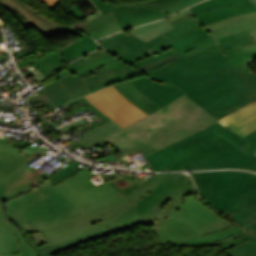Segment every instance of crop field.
<instances>
[{
	"mask_svg": "<svg viewBox=\"0 0 256 256\" xmlns=\"http://www.w3.org/2000/svg\"><path fill=\"white\" fill-rule=\"evenodd\" d=\"M114 87L124 98H126L128 101L133 103L135 106H137L139 109H141L148 115L160 109V107H158L156 104L150 101L142 93H140L131 84L130 81L119 84V85H115Z\"/></svg>",
	"mask_w": 256,
	"mask_h": 256,
	"instance_id": "23",
	"label": "crop field"
},
{
	"mask_svg": "<svg viewBox=\"0 0 256 256\" xmlns=\"http://www.w3.org/2000/svg\"><path fill=\"white\" fill-rule=\"evenodd\" d=\"M231 217L234 221L256 231V206L237 212Z\"/></svg>",
	"mask_w": 256,
	"mask_h": 256,
	"instance_id": "30",
	"label": "crop field"
},
{
	"mask_svg": "<svg viewBox=\"0 0 256 256\" xmlns=\"http://www.w3.org/2000/svg\"><path fill=\"white\" fill-rule=\"evenodd\" d=\"M5 58L3 54H0V60Z\"/></svg>",
	"mask_w": 256,
	"mask_h": 256,
	"instance_id": "42",
	"label": "crop field"
},
{
	"mask_svg": "<svg viewBox=\"0 0 256 256\" xmlns=\"http://www.w3.org/2000/svg\"><path fill=\"white\" fill-rule=\"evenodd\" d=\"M247 143L249 141L216 122L144 158L154 171L221 168L256 171V156L239 149Z\"/></svg>",
	"mask_w": 256,
	"mask_h": 256,
	"instance_id": "4",
	"label": "crop field"
},
{
	"mask_svg": "<svg viewBox=\"0 0 256 256\" xmlns=\"http://www.w3.org/2000/svg\"><path fill=\"white\" fill-rule=\"evenodd\" d=\"M118 60L116 57L105 51L103 48L97 52L89 54L69 65L65 68L69 74L59 78L74 99L90 93L83 82V76L96 74V69Z\"/></svg>",
	"mask_w": 256,
	"mask_h": 256,
	"instance_id": "11",
	"label": "crop field"
},
{
	"mask_svg": "<svg viewBox=\"0 0 256 256\" xmlns=\"http://www.w3.org/2000/svg\"><path fill=\"white\" fill-rule=\"evenodd\" d=\"M0 4H2L10 11L15 9L20 15L23 16L25 21L32 25L39 33H41L46 38L57 34L65 33L48 24L39 16L30 12L16 0H0Z\"/></svg>",
	"mask_w": 256,
	"mask_h": 256,
	"instance_id": "18",
	"label": "crop field"
},
{
	"mask_svg": "<svg viewBox=\"0 0 256 256\" xmlns=\"http://www.w3.org/2000/svg\"><path fill=\"white\" fill-rule=\"evenodd\" d=\"M62 61H65L66 63L70 62L55 51L32 64L37 66L38 69H40L44 74L48 76L49 74L63 66Z\"/></svg>",
	"mask_w": 256,
	"mask_h": 256,
	"instance_id": "28",
	"label": "crop field"
},
{
	"mask_svg": "<svg viewBox=\"0 0 256 256\" xmlns=\"http://www.w3.org/2000/svg\"><path fill=\"white\" fill-rule=\"evenodd\" d=\"M189 14H191V12L187 9V10H184V11L178 13L177 15H175L173 17L168 18V20H169L170 23H172V22H174L178 19H181V18L189 15Z\"/></svg>",
	"mask_w": 256,
	"mask_h": 256,
	"instance_id": "37",
	"label": "crop field"
},
{
	"mask_svg": "<svg viewBox=\"0 0 256 256\" xmlns=\"http://www.w3.org/2000/svg\"><path fill=\"white\" fill-rule=\"evenodd\" d=\"M108 181L117 192L134 204L114 221L106 224L113 233L139 223L151 225L162 245L201 236L196 229L170 212L183 196L196 190L191 178L182 173L155 174L138 185L129 176Z\"/></svg>",
	"mask_w": 256,
	"mask_h": 256,
	"instance_id": "3",
	"label": "crop field"
},
{
	"mask_svg": "<svg viewBox=\"0 0 256 256\" xmlns=\"http://www.w3.org/2000/svg\"><path fill=\"white\" fill-rule=\"evenodd\" d=\"M214 122L212 115L184 95L104 140L118 153L138 147L144 157Z\"/></svg>",
	"mask_w": 256,
	"mask_h": 256,
	"instance_id": "5",
	"label": "crop field"
},
{
	"mask_svg": "<svg viewBox=\"0 0 256 256\" xmlns=\"http://www.w3.org/2000/svg\"><path fill=\"white\" fill-rule=\"evenodd\" d=\"M44 87L45 88L42 90L56 107L71 101L70 97L65 93L57 80L45 85Z\"/></svg>",
	"mask_w": 256,
	"mask_h": 256,
	"instance_id": "29",
	"label": "crop field"
},
{
	"mask_svg": "<svg viewBox=\"0 0 256 256\" xmlns=\"http://www.w3.org/2000/svg\"><path fill=\"white\" fill-rule=\"evenodd\" d=\"M100 43L113 55L136 66L152 78L189 61L172 48L165 52L159 51L170 43L162 35L145 43L123 31L101 40Z\"/></svg>",
	"mask_w": 256,
	"mask_h": 256,
	"instance_id": "9",
	"label": "crop field"
},
{
	"mask_svg": "<svg viewBox=\"0 0 256 256\" xmlns=\"http://www.w3.org/2000/svg\"><path fill=\"white\" fill-rule=\"evenodd\" d=\"M108 233H111V231L108 230L107 228H105V229L96 231L94 233L88 234L86 236H83V237H80V238H77V239H74V240L67 241V242H65L61 245H58V246H55V247H52V248H50L48 243L37 247L35 245V243L33 242V240L31 239V237L29 236V234H26L24 236H25V239L27 240V243L35 250V252L37 253L38 256H50V254L68 249V248L73 247L77 244L84 243L88 240L106 235Z\"/></svg>",
	"mask_w": 256,
	"mask_h": 256,
	"instance_id": "21",
	"label": "crop field"
},
{
	"mask_svg": "<svg viewBox=\"0 0 256 256\" xmlns=\"http://www.w3.org/2000/svg\"><path fill=\"white\" fill-rule=\"evenodd\" d=\"M70 13H72L74 16H76L79 20L86 17V15L74 4L72 7L68 10Z\"/></svg>",
	"mask_w": 256,
	"mask_h": 256,
	"instance_id": "35",
	"label": "crop field"
},
{
	"mask_svg": "<svg viewBox=\"0 0 256 256\" xmlns=\"http://www.w3.org/2000/svg\"><path fill=\"white\" fill-rule=\"evenodd\" d=\"M0 256H5V255H0Z\"/></svg>",
	"mask_w": 256,
	"mask_h": 256,
	"instance_id": "44",
	"label": "crop field"
},
{
	"mask_svg": "<svg viewBox=\"0 0 256 256\" xmlns=\"http://www.w3.org/2000/svg\"><path fill=\"white\" fill-rule=\"evenodd\" d=\"M243 138L249 140L250 143L245 145L244 147H242V149H244L252 154H255V152H256V130Z\"/></svg>",
	"mask_w": 256,
	"mask_h": 256,
	"instance_id": "34",
	"label": "crop field"
},
{
	"mask_svg": "<svg viewBox=\"0 0 256 256\" xmlns=\"http://www.w3.org/2000/svg\"><path fill=\"white\" fill-rule=\"evenodd\" d=\"M0 184V253L37 256L22 234L37 246L47 243L42 232L69 222L82 213L67 194L47 179L50 174L23 167ZM49 191V193H48Z\"/></svg>",
	"mask_w": 256,
	"mask_h": 256,
	"instance_id": "1",
	"label": "crop field"
},
{
	"mask_svg": "<svg viewBox=\"0 0 256 256\" xmlns=\"http://www.w3.org/2000/svg\"><path fill=\"white\" fill-rule=\"evenodd\" d=\"M91 1L102 13L73 26H79L77 29L97 40L115 31L168 16L201 0H145L117 4Z\"/></svg>",
	"mask_w": 256,
	"mask_h": 256,
	"instance_id": "7",
	"label": "crop field"
},
{
	"mask_svg": "<svg viewBox=\"0 0 256 256\" xmlns=\"http://www.w3.org/2000/svg\"><path fill=\"white\" fill-rule=\"evenodd\" d=\"M91 167L56 184L84 211L72 217V223L44 232L51 247L64 241L105 228L133 203L117 193L106 182L95 185L87 172Z\"/></svg>",
	"mask_w": 256,
	"mask_h": 256,
	"instance_id": "6",
	"label": "crop field"
},
{
	"mask_svg": "<svg viewBox=\"0 0 256 256\" xmlns=\"http://www.w3.org/2000/svg\"><path fill=\"white\" fill-rule=\"evenodd\" d=\"M1 53V52H0Z\"/></svg>",
	"mask_w": 256,
	"mask_h": 256,
	"instance_id": "45",
	"label": "crop field"
},
{
	"mask_svg": "<svg viewBox=\"0 0 256 256\" xmlns=\"http://www.w3.org/2000/svg\"><path fill=\"white\" fill-rule=\"evenodd\" d=\"M21 4H23L26 8H28L30 11H32L33 13L39 15L40 17H42L44 20H46L48 23L54 25L55 27L63 30V31H68L70 29H72V27L70 26H67V25H63V24H60V23H57L53 20H50L46 17H44L42 14H40L39 12H37L36 10H34L33 8H31L29 5H27L26 3L22 2L21 0H18Z\"/></svg>",
	"mask_w": 256,
	"mask_h": 256,
	"instance_id": "33",
	"label": "crop field"
},
{
	"mask_svg": "<svg viewBox=\"0 0 256 256\" xmlns=\"http://www.w3.org/2000/svg\"><path fill=\"white\" fill-rule=\"evenodd\" d=\"M221 246L229 256H256V236L249 233L223 243Z\"/></svg>",
	"mask_w": 256,
	"mask_h": 256,
	"instance_id": "22",
	"label": "crop field"
},
{
	"mask_svg": "<svg viewBox=\"0 0 256 256\" xmlns=\"http://www.w3.org/2000/svg\"><path fill=\"white\" fill-rule=\"evenodd\" d=\"M233 2L237 9L254 5L250 0H233Z\"/></svg>",
	"mask_w": 256,
	"mask_h": 256,
	"instance_id": "36",
	"label": "crop field"
},
{
	"mask_svg": "<svg viewBox=\"0 0 256 256\" xmlns=\"http://www.w3.org/2000/svg\"><path fill=\"white\" fill-rule=\"evenodd\" d=\"M132 84L161 108L186 92L173 84H161L144 76L131 80Z\"/></svg>",
	"mask_w": 256,
	"mask_h": 256,
	"instance_id": "14",
	"label": "crop field"
},
{
	"mask_svg": "<svg viewBox=\"0 0 256 256\" xmlns=\"http://www.w3.org/2000/svg\"><path fill=\"white\" fill-rule=\"evenodd\" d=\"M232 5H233L232 0H208L206 2L192 6L189 9L195 14V13L209 10V9L232 6Z\"/></svg>",
	"mask_w": 256,
	"mask_h": 256,
	"instance_id": "31",
	"label": "crop field"
},
{
	"mask_svg": "<svg viewBox=\"0 0 256 256\" xmlns=\"http://www.w3.org/2000/svg\"><path fill=\"white\" fill-rule=\"evenodd\" d=\"M106 144H107V142H105L104 140L99 142V143H97V145H99L100 147H102V146H104Z\"/></svg>",
	"mask_w": 256,
	"mask_h": 256,
	"instance_id": "41",
	"label": "crop field"
},
{
	"mask_svg": "<svg viewBox=\"0 0 256 256\" xmlns=\"http://www.w3.org/2000/svg\"><path fill=\"white\" fill-rule=\"evenodd\" d=\"M171 213L188 222L203 235L232 225L203 206L192 196L183 197Z\"/></svg>",
	"mask_w": 256,
	"mask_h": 256,
	"instance_id": "12",
	"label": "crop field"
},
{
	"mask_svg": "<svg viewBox=\"0 0 256 256\" xmlns=\"http://www.w3.org/2000/svg\"><path fill=\"white\" fill-rule=\"evenodd\" d=\"M41 153L37 151L28 158L12 151L0 149V182Z\"/></svg>",
	"mask_w": 256,
	"mask_h": 256,
	"instance_id": "20",
	"label": "crop field"
},
{
	"mask_svg": "<svg viewBox=\"0 0 256 256\" xmlns=\"http://www.w3.org/2000/svg\"><path fill=\"white\" fill-rule=\"evenodd\" d=\"M115 156H113V154L109 155V156H106L104 157L105 161H114L115 160Z\"/></svg>",
	"mask_w": 256,
	"mask_h": 256,
	"instance_id": "40",
	"label": "crop field"
},
{
	"mask_svg": "<svg viewBox=\"0 0 256 256\" xmlns=\"http://www.w3.org/2000/svg\"><path fill=\"white\" fill-rule=\"evenodd\" d=\"M0 148L12 150V151H15V152H18V153L21 151V149H17V148H14V147H10V146L4 145V144H0Z\"/></svg>",
	"mask_w": 256,
	"mask_h": 256,
	"instance_id": "39",
	"label": "crop field"
},
{
	"mask_svg": "<svg viewBox=\"0 0 256 256\" xmlns=\"http://www.w3.org/2000/svg\"><path fill=\"white\" fill-rule=\"evenodd\" d=\"M246 29H249L252 39L254 41V44L236 48L237 53H242V52L256 50V18L246 20L241 23L229 25V26L217 29V30H213L211 32L214 34L215 38L217 39V38L228 36V35L238 32V31H242V30H246Z\"/></svg>",
	"mask_w": 256,
	"mask_h": 256,
	"instance_id": "25",
	"label": "crop field"
},
{
	"mask_svg": "<svg viewBox=\"0 0 256 256\" xmlns=\"http://www.w3.org/2000/svg\"><path fill=\"white\" fill-rule=\"evenodd\" d=\"M80 101L85 103L96 114H98L101 118L107 120L108 122L94 128L88 132L83 133L85 136L76 142H78L81 145L88 148V147L92 146L93 144H95L96 142L108 137L109 135L113 134L117 130L121 129V127L119 125L114 123L112 120L108 119L105 115H103L100 111H98L93 105H91L84 97L77 99L75 101H72V102L68 103V105L71 106Z\"/></svg>",
	"mask_w": 256,
	"mask_h": 256,
	"instance_id": "17",
	"label": "crop field"
},
{
	"mask_svg": "<svg viewBox=\"0 0 256 256\" xmlns=\"http://www.w3.org/2000/svg\"><path fill=\"white\" fill-rule=\"evenodd\" d=\"M85 98L108 118L112 119L123 128L147 116L124 99L113 86L103 88L85 96Z\"/></svg>",
	"mask_w": 256,
	"mask_h": 256,
	"instance_id": "10",
	"label": "crop field"
},
{
	"mask_svg": "<svg viewBox=\"0 0 256 256\" xmlns=\"http://www.w3.org/2000/svg\"><path fill=\"white\" fill-rule=\"evenodd\" d=\"M256 5V0H251Z\"/></svg>",
	"mask_w": 256,
	"mask_h": 256,
	"instance_id": "43",
	"label": "crop field"
},
{
	"mask_svg": "<svg viewBox=\"0 0 256 256\" xmlns=\"http://www.w3.org/2000/svg\"><path fill=\"white\" fill-rule=\"evenodd\" d=\"M253 11H256V6L239 9V10H236L235 6H232V7H225V8L209 10L206 12H201V13L195 14V16L199 19V21L203 24V26H205L210 23L230 17L232 15L249 13Z\"/></svg>",
	"mask_w": 256,
	"mask_h": 256,
	"instance_id": "26",
	"label": "crop field"
},
{
	"mask_svg": "<svg viewBox=\"0 0 256 256\" xmlns=\"http://www.w3.org/2000/svg\"><path fill=\"white\" fill-rule=\"evenodd\" d=\"M174 27L179 31L181 35L194 30L198 27H201V25L198 23V21L194 18L193 14L189 15L181 20H178L174 23H172Z\"/></svg>",
	"mask_w": 256,
	"mask_h": 256,
	"instance_id": "32",
	"label": "crop field"
},
{
	"mask_svg": "<svg viewBox=\"0 0 256 256\" xmlns=\"http://www.w3.org/2000/svg\"><path fill=\"white\" fill-rule=\"evenodd\" d=\"M192 176L203 200L226 216L256 204L255 174L215 171L192 173Z\"/></svg>",
	"mask_w": 256,
	"mask_h": 256,
	"instance_id": "8",
	"label": "crop field"
},
{
	"mask_svg": "<svg viewBox=\"0 0 256 256\" xmlns=\"http://www.w3.org/2000/svg\"><path fill=\"white\" fill-rule=\"evenodd\" d=\"M130 66L118 60L98 69L99 74L86 76L83 79L90 92H92L105 86L143 75L142 72Z\"/></svg>",
	"mask_w": 256,
	"mask_h": 256,
	"instance_id": "13",
	"label": "crop field"
},
{
	"mask_svg": "<svg viewBox=\"0 0 256 256\" xmlns=\"http://www.w3.org/2000/svg\"><path fill=\"white\" fill-rule=\"evenodd\" d=\"M243 230L232 226L227 229H224L220 232L208 234L205 236L189 239L186 241L173 243L169 245H178V246H190V247H198V246H209V245H219L222 242L227 240H231L237 236L244 234Z\"/></svg>",
	"mask_w": 256,
	"mask_h": 256,
	"instance_id": "19",
	"label": "crop field"
},
{
	"mask_svg": "<svg viewBox=\"0 0 256 256\" xmlns=\"http://www.w3.org/2000/svg\"><path fill=\"white\" fill-rule=\"evenodd\" d=\"M68 32L77 34V35H81L83 37V38H81V39L71 43L70 45L57 51L60 54H62L65 58H67L68 60L71 61L75 58H78L82 55L90 53L99 48L96 41H94L92 38L84 35L80 31L72 29L71 31H68Z\"/></svg>",
	"mask_w": 256,
	"mask_h": 256,
	"instance_id": "24",
	"label": "crop field"
},
{
	"mask_svg": "<svg viewBox=\"0 0 256 256\" xmlns=\"http://www.w3.org/2000/svg\"><path fill=\"white\" fill-rule=\"evenodd\" d=\"M217 122L242 137L247 135L256 129V101L238 109Z\"/></svg>",
	"mask_w": 256,
	"mask_h": 256,
	"instance_id": "16",
	"label": "crop field"
},
{
	"mask_svg": "<svg viewBox=\"0 0 256 256\" xmlns=\"http://www.w3.org/2000/svg\"><path fill=\"white\" fill-rule=\"evenodd\" d=\"M172 28H174L173 25H171L167 19H164L149 25L137 27L127 31L135 34L146 42Z\"/></svg>",
	"mask_w": 256,
	"mask_h": 256,
	"instance_id": "27",
	"label": "crop field"
},
{
	"mask_svg": "<svg viewBox=\"0 0 256 256\" xmlns=\"http://www.w3.org/2000/svg\"><path fill=\"white\" fill-rule=\"evenodd\" d=\"M215 43L216 42L212 38L211 34H209L205 28L201 27L195 31H191L183 36L178 37L166 47H164L162 51L172 47L177 52L186 57Z\"/></svg>",
	"mask_w": 256,
	"mask_h": 256,
	"instance_id": "15",
	"label": "crop field"
},
{
	"mask_svg": "<svg viewBox=\"0 0 256 256\" xmlns=\"http://www.w3.org/2000/svg\"><path fill=\"white\" fill-rule=\"evenodd\" d=\"M41 1H43L44 3H46V5H48L50 8H52L53 11H54L55 6H56V4H57V2H58V0H41Z\"/></svg>",
	"mask_w": 256,
	"mask_h": 256,
	"instance_id": "38",
	"label": "crop field"
},
{
	"mask_svg": "<svg viewBox=\"0 0 256 256\" xmlns=\"http://www.w3.org/2000/svg\"><path fill=\"white\" fill-rule=\"evenodd\" d=\"M191 61L155 78L185 90L216 121L256 100L249 61L256 51L224 57L217 44L187 57Z\"/></svg>",
	"mask_w": 256,
	"mask_h": 256,
	"instance_id": "2",
	"label": "crop field"
}]
</instances>
